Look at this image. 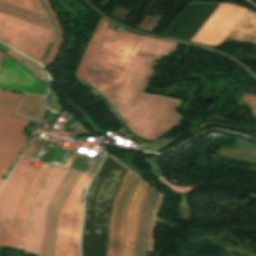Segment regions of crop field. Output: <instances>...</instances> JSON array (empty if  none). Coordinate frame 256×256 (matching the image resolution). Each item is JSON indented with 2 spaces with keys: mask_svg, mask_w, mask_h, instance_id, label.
Masks as SVG:
<instances>
[{
  "mask_svg": "<svg viewBox=\"0 0 256 256\" xmlns=\"http://www.w3.org/2000/svg\"><path fill=\"white\" fill-rule=\"evenodd\" d=\"M142 38L109 28L103 34L84 79L110 103ZM176 45L144 37L112 103L128 127L149 140L173 130L181 119L174 110L178 100L143 94L157 60Z\"/></svg>",
  "mask_w": 256,
  "mask_h": 256,
  "instance_id": "crop-field-1",
  "label": "crop field"
},
{
  "mask_svg": "<svg viewBox=\"0 0 256 256\" xmlns=\"http://www.w3.org/2000/svg\"><path fill=\"white\" fill-rule=\"evenodd\" d=\"M127 168L106 154L88 188L82 232V256H107L112 204Z\"/></svg>",
  "mask_w": 256,
  "mask_h": 256,
  "instance_id": "crop-field-2",
  "label": "crop field"
},
{
  "mask_svg": "<svg viewBox=\"0 0 256 256\" xmlns=\"http://www.w3.org/2000/svg\"><path fill=\"white\" fill-rule=\"evenodd\" d=\"M91 177L80 173L60 209L53 256H79L81 199Z\"/></svg>",
  "mask_w": 256,
  "mask_h": 256,
  "instance_id": "crop-field-3",
  "label": "crop field"
},
{
  "mask_svg": "<svg viewBox=\"0 0 256 256\" xmlns=\"http://www.w3.org/2000/svg\"><path fill=\"white\" fill-rule=\"evenodd\" d=\"M38 168L20 158L0 192V245L12 247L19 202Z\"/></svg>",
  "mask_w": 256,
  "mask_h": 256,
  "instance_id": "crop-field-4",
  "label": "crop field"
},
{
  "mask_svg": "<svg viewBox=\"0 0 256 256\" xmlns=\"http://www.w3.org/2000/svg\"><path fill=\"white\" fill-rule=\"evenodd\" d=\"M21 96L0 92V178L16 161L27 136V120L13 114Z\"/></svg>",
  "mask_w": 256,
  "mask_h": 256,
  "instance_id": "crop-field-5",
  "label": "crop field"
},
{
  "mask_svg": "<svg viewBox=\"0 0 256 256\" xmlns=\"http://www.w3.org/2000/svg\"><path fill=\"white\" fill-rule=\"evenodd\" d=\"M55 32L0 13V39L41 61Z\"/></svg>",
  "mask_w": 256,
  "mask_h": 256,
  "instance_id": "crop-field-6",
  "label": "crop field"
},
{
  "mask_svg": "<svg viewBox=\"0 0 256 256\" xmlns=\"http://www.w3.org/2000/svg\"><path fill=\"white\" fill-rule=\"evenodd\" d=\"M68 169L52 166L29 208L25 251L41 252L47 207L66 176Z\"/></svg>",
  "mask_w": 256,
  "mask_h": 256,
  "instance_id": "crop-field-7",
  "label": "crop field"
},
{
  "mask_svg": "<svg viewBox=\"0 0 256 256\" xmlns=\"http://www.w3.org/2000/svg\"><path fill=\"white\" fill-rule=\"evenodd\" d=\"M139 178L127 170L113 204L108 256H122L126 212Z\"/></svg>",
  "mask_w": 256,
  "mask_h": 256,
  "instance_id": "crop-field-8",
  "label": "crop field"
},
{
  "mask_svg": "<svg viewBox=\"0 0 256 256\" xmlns=\"http://www.w3.org/2000/svg\"><path fill=\"white\" fill-rule=\"evenodd\" d=\"M246 11L241 7L221 4L192 42L208 45L220 44Z\"/></svg>",
  "mask_w": 256,
  "mask_h": 256,
  "instance_id": "crop-field-9",
  "label": "crop field"
},
{
  "mask_svg": "<svg viewBox=\"0 0 256 256\" xmlns=\"http://www.w3.org/2000/svg\"><path fill=\"white\" fill-rule=\"evenodd\" d=\"M220 4H190L164 34L191 41Z\"/></svg>",
  "mask_w": 256,
  "mask_h": 256,
  "instance_id": "crop-field-10",
  "label": "crop field"
},
{
  "mask_svg": "<svg viewBox=\"0 0 256 256\" xmlns=\"http://www.w3.org/2000/svg\"><path fill=\"white\" fill-rule=\"evenodd\" d=\"M78 175L79 172L69 170L48 207L41 256H52L59 209Z\"/></svg>",
  "mask_w": 256,
  "mask_h": 256,
  "instance_id": "crop-field-11",
  "label": "crop field"
},
{
  "mask_svg": "<svg viewBox=\"0 0 256 256\" xmlns=\"http://www.w3.org/2000/svg\"><path fill=\"white\" fill-rule=\"evenodd\" d=\"M36 79L8 56L0 65V88L31 93Z\"/></svg>",
  "mask_w": 256,
  "mask_h": 256,
  "instance_id": "crop-field-12",
  "label": "crop field"
},
{
  "mask_svg": "<svg viewBox=\"0 0 256 256\" xmlns=\"http://www.w3.org/2000/svg\"><path fill=\"white\" fill-rule=\"evenodd\" d=\"M50 168L51 165L42 163L40 169L38 170L36 176L34 177L32 183L30 184L29 188L27 189L25 195L20 202L13 244V247L15 248L23 250L29 204L33 199L35 193L37 192L38 188L40 187L41 183L43 182L44 178L46 177Z\"/></svg>",
  "mask_w": 256,
  "mask_h": 256,
  "instance_id": "crop-field-13",
  "label": "crop field"
},
{
  "mask_svg": "<svg viewBox=\"0 0 256 256\" xmlns=\"http://www.w3.org/2000/svg\"><path fill=\"white\" fill-rule=\"evenodd\" d=\"M148 187L149 185H147L142 180H139L133 197L128 206L123 256H134L139 207L142 203Z\"/></svg>",
  "mask_w": 256,
  "mask_h": 256,
  "instance_id": "crop-field-14",
  "label": "crop field"
},
{
  "mask_svg": "<svg viewBox=\"0 0 256 256\" xmlns=\"http://www.w3.org/2000/svg\"><path fill=\"white\" fill-rule=\"evenodd\" d=\"M156 194L157 192L149 187L146 198L140 208L135 256H146L149 215Z\"/></svg>",
  "mask_w": 256,
  "mask_h": 256,
  "instance_id": "crop-field-15",
  "label": "crop field"
},
{
  "mask_svg": "<svg viewBox=\"0 0 256 256\" xmlns=\"http://www.w3.org/2000/svg\"><path fill=\"white\" fill-rule=\"evenodd\" d=\"M227 37L256 44V14L248 10Z\"/></svg>",
  "mask_w": 256,
  "mask_h": 256,
  "instance_id": "crop-field-16",
  "label": "crop field"
},
{
  "mask_svg": "<svg viewBox=\"0 0 256 256\" xmlns=\"http://www.w3.org/2000/svg\"><path fill=\"white\" fill-rule=\"evenodd\" d=\"M0 12L31 22L33 24L45 27L47 29L53 30V27L48 17L20 8L18 6L6 3L1 0H0Z\"/></svg>",
  "mask_w": 256,
  "mask_h": 256,
  "instance_id": "crop-field-17",
  "label": "crop field"
},
{
  "mask_svg": "<svg viewBox=\"0 0 256 256\" xmlns=\"http://www.w3.org/2000/svg\"><path fill=\"white\" fill-rule=\"evenodd\" d=\"M44 112V102L42 97L31 96L24 94L15 114H24L23 117L33 120L35 122L39 121Z\"/></svg>",
  "mask_w": 256,
  "mask_h": 256,
  "instance_id": "crop-field-18",
  "label": "crop field"
},
{
  "mask_svg": "<svg viewBox=\"0 0 256 256\" xmlns=\"http://www.w3.org/2000/svg\"><path fill=\"white\" fill-rule=\"evenodd\" d=\"M107 23L108 22L102 18L98 27H97V29H96V31H95V33H94V36H93V39H92L91 44L89 46V49H88V51H87V53H86V55H85V57L82 61L80 69L77 73V77L80 80H82V78H83V76L86 72V69H87V67H88V65L91 61V58H92V56L95 52V49H96V47H97V45L100 41V38H101V36H102V34L105 30V27H106Z\"/></svg>",
  "mask_w": 256,
  "mask_h": 256,
  "instance_id": "crop-field-19",
  "label": "crop field"
},
{
  "mask_svg": "<svg viewBox=\"0 0 256 256\" xmlns=\"http://www.w3.org/2000/svg\"><path fill=\"white\" fill-rule=\"evenodd\" d=\"M44 7L46 8L47 12L49 13V15L51 16L57 32H58V36L57 39L54 43L55 46H60L62 41H63V36H64V32L62 30V27L59 23V20L54 12V10L52 9V7L50 6L49 2L47 0H41ZM53 46L51 51L49 52V54L47 55L46 59L44 60L43 64L48 68V66L50 65V63L53 61V59L55 58V56L58 54L60 48L59 47H55Z\"/></svg>",
  "mask_w": 256,
  "mask_h": 256,
  "instance_id": "crop-field-20",
  "label": "crop field"
},
{
  "mask_svg": "<svg viewBox=\"0 0 256 256\" xmlns=\"http://www.w3.org/2000/svg\"><path fill=\"white\" fill-rule=\"evenodd\" d=\"M6 53L13 56L19 63H21L26 69H28L36 77H38L41 80L46 81L44 71L36 63L23 57L22 55L16 53L15 51H13L11 49L9 51H7Z\"/></svg>",
  "mask_w": 256,
  "mask_h": 256,
  "instance_id": "crop-field-21",
  "label": "crop field"
},
{
  "mask_svg": "<svg viewBox=\"0 0 256 256\" xmlns=\"http://www.w3.org/2000/svg\"><path fill=\"white\" fill-rule=\"evenodd\" d=\"M162 199L163 197L159 194L158 195V199L152 209V213H151V219H150V227H149V237H148V247H147V251L152 249L153 247V232H154V226H155V221H156V217H157V213L161 207V203H162Z\"/></svg>",
  "mask_w": 256,
  "mask_h": 256,
  "instance_id": "crop-field-22",
  "label": "crop field"
},
{
  "mask_svg": "<svg viewBox=\"0 0 256 256\" xmlns=\"http://www.w3.org/2000/svg\"><path fill=\"white\" fill-rule=\"evenodd\" d=\"M29 10L46 15L38 0H4Z\"/></svg>",
  "mask_w": 256,
  "mask_h": 256,
  "instance_id": "crop-field-23",
  "label": "crop field"
},
{
  "mask_svg": "<svg viewBox=\"0 0 256 256\" xmlns=\"http://www.w3.org/2000/svg\"><path fill=\"white\" fill-rule=\"evenodd\" d=\"M40 143H41V140L35 138L30 144L27 145L22 156L33 158Z\"/></svg>",
  "mask_w": 256,
  "mask_h": 256,
  "instance_id": "crop-field-24",
  "label": "crop field"
},
{
  "mask_svg": "<svg viewBox=\"0 0 256 256\" xmlns=\"http://www.w3.org/2000/svg\"><path fill=\"white\" fill-rule=\"evenodd\" d=\"M236 147L256 149V143L237 138Z\"/></svg>",
  "mask_w": 256,
  "mask_h": 256,
  "instance_id": "crop-field-25",
  "label": "crop field"
},
{
  "mask_svg": "<svg viewBox=\"0 0 256 256\" xmlns=\"http://www.w3.org/2000/svg\"><path fill=\"white\" fill-rule=\"evenodd\" d=\"M146 162L150 163L152 168H151V171H152V174L158 178L160 176L163 175V173L161 172V170L159 169L158 165L156 164L155 160L152 159V160H146Z\"/></svg>",
  "mask_w": 256,
  "mask_h": 256,
  "instance_id": "crop-field-26",
  "label": "crop field"
},
{
  "mask_svg": "<svg viewBox=\"0 0 256 256\" xmlns=\"http://www.w3.org/2000/svg\"><path fill=\"white\" fill-rule=\"evenodd\" d=\"M242 100L256 102V96L245 94Z\"/></svg>",
  "mask_w": 256,
  "mask_h": 256,
  "instance_id": "crop-field-27",
  "label": "crop field"
},
{
  "mask_svg": "<svg viewBox=\"0 0 256 256\" xmlns=\"http://www.w3.org/2000/svg\"><path fill=\"white\" fill-rule=\"evenodd\" d=\"M251 103V106H252V110H253V113L256 114V103Z\"/></svg>",
  "mask_w": 256,
  "mask_h": 256,
  "instance_id": "crop-field-28",
  "label": "crop field"
},
{
  "mask_svg": "<svg viewBox=\"0 0 256 256\" xmlns=\"http://www.w3.org/2000/svg\"><path fill=\"white\" fill-rule=\"evenodd\" d=\"M3 57H4V54L0 53V63H1L2 59H3Z\"/></svg>",
  "mask_w": 256,
  "mask_h": 256,
  "instance_id": "crop-field-29",
  "label": "crop field"
},
{
  "mask_svg": "<svg viewBox=\"0 0 256 256\" xmlns=\"http://www.w3.org/2000/svg\"><path fill=\"white\" fill-rule=\"evenodd\" d=\"M2 183H3V182H2V181H0V187H1Z\"/></svg>",
  "mask_w": 256,
  "mask_h": 256,
  "instance_id": "crop-field-30",
  "label": "crop field"
}]
</instances>
